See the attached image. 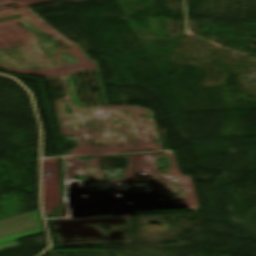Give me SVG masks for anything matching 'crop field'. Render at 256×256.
<instances>
[{
    "mask_svg": "<svg viewBox=\"0 0 256 256\" xmlns=\"http://www.w3.org/2000/svg\"><path fill=\"white\" fill-rule=\"evenodd\" d=\"M39 213H31L0 222V243L42 232Z\"/></svg>",
    "mask_w": 256,
    "mask_h": 256,
    "instance_id": "crop-field-1",
    "label": "crop field"
},
{
    "mask_svg": "<svg viewBox=\"0 0 256 256\" xmlns=\"http://www.w3.org/2000/svg\"><path fill=\"white\" fill-rule=\"evenodd\" d=\"M18 246H20V244L17 241L11 242L8 244H4V245H0V251H4V250L11 249V248L18 247Z\"/></svg>",
    "mask_w": 256,
    "mask_h": 256,
    "instance_id": "crop-field-2",
    "label": "crop field"
}]
</instances>
